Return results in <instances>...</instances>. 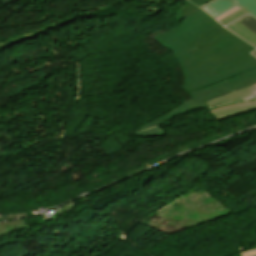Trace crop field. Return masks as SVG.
<instances>
[{
	"mask_svg": "<svg viewBox=\"0 0 256 256\" xmlns=\"http://www.w3.org/2000/svg\"><path fill=\"white\" fill-rule=\"evenodd\" d=\"M241 256H256V249L248 251V252H244L240 254Z\"/></svg>",
	"mask_w": 256,
	"mask_h": 256,
	"instance_id": "crop-field-10",
	"label": "crop field"
},
{
	"mask_svg": "<svg viewBox=\"0 0 256 256\" xmlns=\"http://www.w3.org/2000/svg\"><path fill=\"white\" fill-rule=\"evenodd\" d=\"M245 14H247V13L241 9V10L235 12L234 14H232V15L226 17L225 19H223V20H221V21H219V22H220L223 26H225V25L229 24L230 22L234 21L235 19H237V18H239V17H241V16H243V15H245Z\"/></svg>",
	"mask_w": 256,
	"mask_h": 256,
	"instance_id": "crop-field-7",
	"label": "crop field"
},
{
	"mask_svg": "<svg viewBox=\"0 0 256 256\" xmlns=\"http://www.w3.org/2000/svg\"><path fill=\"white\" fill-rule=\"evenodd\" d=\"M21 216H27V215H26V213H23V214H17V215L2 216V217H0V220L18 218Z\"/></svg>",
	"mask_w": 256,
	"mask_h": 256,
	"instance_id": "crop-field-9",
	"label": "crop field"
},
{
	"mask_svg": "<svg viewBox=\"0 0 256 256\" xmlns=\"http://www.w3.org/2000/svg\"><path fill=\"white\" fill-rule=\"evenodd\" d=\"M6 229V231H4ZM17 229H28L24 220L10 221L6 223H0V237L8 236V232H14Z\"/></svg>",
	"mask_w": 256,
	"mask_h": 256,
	"instance_id": "crop-field-4",
	"label": "crop field"
},
{
	"mask_svg": "<svg viewBox=\"0 0 256 256\" xmlns=\"http://www.w3.org/2000/svg\"><path fill=\"white\" fill-rule=\"evenodd\" d=\"M135 135L140 136H163L166 133L160 128V126L144 130L142 132H134Z\"/></svg>",
	"mask_w": 256,
	"mask_h": 256,
	"instance_id": "crop-field-5",
	"label": "crop field"
},
{
	"mask_svg": "<svg viewBox=\"0 0 256 256\" xmlns=\"http://www.w3.org/2000/svg\"><path fill=\"white\" fill-rule=\"evenodd\" d=\"M239 9H241V8L236 6V7L232 8L231 10L227 11L226 13H224V14L220 15L219 17L215 18V19H217L219 21V20L225 18L226 16L234 13L235 11H237Z\"/></svg>",
	"mask_w": 256,
	"mask_h": 256,
	"instance_id": "crop-field-8",
	"label": "crop field"
},
{
	"mask_svg": "<svg viewBox=\"0 0 256 256\" xmlns=\"http://www.w3.org/2000/svg\"><path fill=\"white\" fill-rule=\"evenodd\" d=\"M236 5L256 17V0H214L201 7L215 18Z\"/></svg>",
	"mask_w": 256,
	"mask_h": 256,
	"instance_id": "crop-field-2",
	"label": "crop field"
},
{
	"mask_svg": "<svg viewBox=\"0 0 256 256\" xmlns=\"http://www.w3.org/2000/svg\"><path fill=\"white\" fill-rule=\"evenodd\" d=\"M232 24L226 27L233 31L235 34H237L239 37L250 43L251 45H256V35L253 32L248 30L246 27H244L237 21L234 22V26Z\"/></svg>",
	"mask_w": 256,
	"mask_h": 256,
	"instance_id": "crop-field-3",
	"label": "crop field"
},
{
	"mask_svg": "<svg viewBox=\"0 0 256 256\" xmlns=\"http://www.w3.org/2000/svg\"><path fill=\"white\" fill-rule=\"evenodd\" d=\"M256 47V46H255ZM252 54H254L256 56V51H254Z\"/></svg>",
	"mask_w": 256,
	"mask_h": 256,
	"instance_id": "crop-field-11",
	"label": "crop field"
},
{
	"mask_svg": "<svg viewBox=\"0 0 256 256\" xmlns=\"http://www.w3.org/2000/svg\"><path fill=\"white\" fill-rule=\"evenodd\" d=\"M142 1L165 2L170 6L183 2L175 18L178 22L187 18L154 39L174 53L185 77L182 89L193 100L138 127V131L174 118L190 106L256 84V58L249 53L255 48L200 9L199 6L212 0H138Z\"/></svg>",
	"mask_w": 256,
	"mask_h": 256,
	"instance_id": "crop-field-1",
	"label": "crop field"
},
{
	"mask_svg": "<svg viewBox=\"0 0 256 256\" xmlns=\"http://www.w3.org/2000/svg\"><path fill=\"white\" fill-rule=\"evenodd\" d=\"M241 24H243L244 26H246L248 29H250L251 31H253L256 34V19L251 17L250 15H247L239 20Z\"/></svg>",
	"mask_w": 256,
	"mask_h": 256,
	"instance_id": "crop-field-6",
	"label": "crop field"
}]
</instances>
